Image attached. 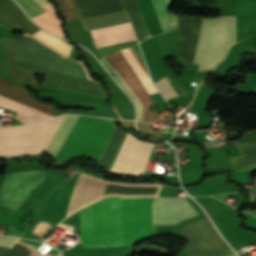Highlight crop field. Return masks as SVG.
Masks as SVG:
<instances>
[{
	"mask_svg": "<svg viewBox=\"0 0 256 256\" xmlns=\"http://www.w3.org/2000/svg\"><path fill=\"white\" fill-rule=\"evenodd\" d=\"M6 49L8 54V61H9L11 75L27 84L38 87V84L32 74H29L27 72H24L22 70L15 68L12 50H10L11 48L10 49L6 48Z\"/></svg>",
	"mask_w": 256,
	"mask_h": 256,
	"instance_id": "obj_17",
	"label": "crop field"
},
{
	"mask_svg": "<svg viewBox=\"0 0 256 256\" xmlns=\"http://www.w3.org/2000/svg\"><path fill=\"white\" fill-rule=\"evenodd\" d=\"M0 24L30 35L40 29L25 16L13 0H0Z\"/></svg>",
	"mask_w": 256,
	"mask_h": 256,
	"instance_id": "obj_12",
	"label": "crop field"
},
{
	"mask_svg": "<svg viewBox=\"0 0 256 256\" xmlns=\"http://www.w3.org/2000/svg\"><path fill=\"white\" fill-rule=\"evenodd\" d=\"M114 128L112 120L79 116L56 160L87 156L99 162Z\"/></svg>",
	"mask_w": 256,
	"mask_h": 256,
	"instance_id": "obj_2",
	"label": "crop field"
},
{
	"mask_svg": "<svg viewBox=\"0 0 256 256\" xmlns=\"http://www.w3.org/2000/svg\"><path fill=\"white\" fill-rule=\"evenodd\" d=\"M154 144L127 135L110 173L132 176L141 175Z\"/></svg>",
	"mask_w": 256,
	"mask_h": 256,
	"instance_id": "obj_8",
	"label": "crop field"
},
{
	"mask_svg": "<svg viewBox=\"0 0 256 256\" xmlns=\"http://www.w3.org/2000/svg\"><path fill=\"white\" fill-rule=\"evenodd\" d=\"M35 37L39 38L43 42L47 43L51 47L55 48L59 52L63 53L66 56H69L72 46L68 45L67 43L63 42L59 38L48 34L42 30L33 34Z\"/></svg>",
	"mask_w": 256,
	"mask_h": 256,
	"instance_id": "obj_16",
	"label": "crop field"
},
{
	"mask_svg": "<svg viewBox=\"0 0 256 256\" xmlns=\"http://www.w3.org/2000/svg\"><path fill=\"white\" fill-rule=\"evenodd\" d=\"M154 84L165 97V99L178 96V93L175 91L165 76L154 82Z\"/></svg>",
	"mask_w": 256,
	"mask_h": 256,
	"instance_id": "obj_20",
	"label": "crop field"
},
{
	"mask_svg": "<svg viewBox=\"0 0 256 256\" xmlns=\"http://www.w3.org/2000/svg\"><path fill=\"white\" fill-rule=\"evenodd\" d=\"M90 32L97 47L135 39L129 23L92 30ZM120 52L145 88L148 95L157 92V89L152 84L145 67L132 47L121 49Z\"/></svg>",
	"mask_w": 256,
	"mask_h": 256,
	"instance_id": "obj_6",
	"label": "crop field"
},
{
	"mask_svg": "<svg viewBox=\"0 0 256 256\" xmlns=\"http://www.w3.org/2000/svg\"><path fill=\"white\" fill-rule=\"evenodd\" d=\"M65 115L28 126L0 127V157L41 153Z\"/></svg>",
	"mask_w": 256,
	"mask_h": 256,
	"instance_id": "obj_3",
	"label": "crop field"
},
{
	"mask_svg": "<svg viewBox=\"0 0 256 256\" xmlns=\"http://www.w3.org/2000/svg\"><path fill=\"white\" fill-rule=\"evenodd\" d=\"M18 238H12L0 235V245L14 246L18 241ZM8 246H0V256H5V254L12 248Z\"/></svg>",
	"mask_w": 256,
	"mask_h": 256,
	"instance_id": "obj_21",
	"label": "crop field"
},
{
	"mask_svg": "<svg viewBox=\"0 0 256 256\" xmlns=\"http://www.w3.org/2000/svg\"><path fill=\"white\" fill-rule=\"evenodd\" d=\"M45 170L9 174L0 192V205L18 211L31 190L44 179Z\"/></svg>",
	"mask_w": 256,
	"mask_h": 256,
	"instance_id": "obj_9",
	"label": "crop field"
},
{
	"mask_svg": "<svg viewBox=\"0 0 256 256\" xmlns=\"http://www.w3.org/2000/svg\"><path fill=\"white\" fill-rule=\"evenodd\" d=\"M0 95L11 98L53 116H56L52 106L50 104H40L33 100L27 93L26 89L14 82L3 79L0 77ZM0 96V106L4 108H8L11 110L17 111L16 116L21 121L29 124H35L40 121L46 120L53 116L18 103L16 101L10 100Z\"/></svg>",
	"mask_w": 256,
	"mask_h": 256,
	"instance_id": "obj_5",
	"label": "crop field"
},
{
	"mask_svg": "<svg viewBox=\"0 0 256 256\" xmlns=\"http://www.w3.org/2000/svg\"><path fill=\"white\" fill-rule=\"evenodd\" d=\"M16 1L22 6V8L25 10L28 16L31 18L47 11L41 5L36 3L34 0H16Z\"/></svg>",
	"mask_w": 256,
	"mask_h": 256,
	"instance_id": "obj_19",
	"label": "crop field"
},
{
	"mask_svg": "<svg viewBox=\"0 0 256 256\" xmlns=\"http://www.w3.org/2000/svg\"><path fill=\"white\" fill-rule=\"evenodd\" d=\"M114 246L153 233V198L110 197ZM108 198L79 211L81 247L113 246Z\"/></svg>",
	"mask_w": 256,
	"mask_h": 256,
	"instance_id": "obj_1",
	"label": "crop field"
},
{
	"mask_svg": "<svg viewBox=\"0 0 256 256\" xmlns=\"http://www.w3.org/2000/svg\"><path fill=\"white\" fill-rule=\"evenodd\" d=\"M228 256H236V254H235V253H233V254H231V255H228Z\"/></svg>",
	"mask_w": 256,
	"mask_h": 256,
	"instance_id": "obj_24",
	"label": "crop field"
},
{
	"mask_svg": "<svg viewBox=\"0 0 256 256\" xmlns=\"http://www.w3.org/2000/svg\"><path fill=\"white\" fill-rule=\"evenodd\" d=\"M17 67L24 68L30 71H34L40 74L49 76L45 85L57 87L61 89L91 94L100 97H106L103 90L94 82L81 79L75 76L57 72L51 69L26 63L15 59Z\"/></svg>",
	"mask_w": 256,
	"mask_h": 256,
	"instance_id": "obj_10",
	"label": "crop field"
},
{
	"mask_svg": "<svg viewBox=\"0 0 256 256\" xmlns=\"http://www.w3.org/2000/svg\"><path fill=\"white\" fill-rule=\"evenodd\" d=\"M156 9L158 18L160 20L163 31H167L176 28L177 16L165 13L169 3L167 0H152Z\"/></svg>",
	"mask_w": 256,
	"mask_h": 256,
	"instance_id": "obj_15",
	"label": "crop field"
},
{
	"mask_svg": "<svg viewBox=\"0 0 256 256\" xmlns=\"http://www.w3.org/2000/svg\"><path fill=\"white\" fill-rule=\"evenodd\" d=\"M107 62H109L122 76V78L129 84L131 87L132 91L139 97L143 108H144V118H143V109L140 101L138 100L137 96L131 91L129 88L128 84L121 78V76L118 74V72ZM102 58L100 61L104 65L106 69L111 71L115 78L118 80V82L121 84V86L124 88V90L127 92V94L131 97V99L134 101V103L137 106V112L138 116L137 119L148 121L149 122V117H148V105H152L153 102L129 68L128 64L122 57L121 53L119 50L105 56Z\"/></svg>",
	"mask_w": 256,
	"mask_h": 256,
	"instance_id": "obj_7",
	"label": "crop field"
},
{
	"mask_svg": "<svg viewBox=\"0 0 256 256\" xmlns=\"http://www.w3.org/2000/svg\"><path fill=\"white\" fill-rule=\"evenodd\" d=\"M35 1L38 2L39 4H44L49 2V0H35Z\"/></svg>",
	"mask_w": 256,
	"mask_h": 256,
	"instance_id": "obj_23",
	"label": "crop field"
},
{
	"mask_svg": "<svg viewBox=\"0 0 256 256\" xmlns=\"http://www.w3.org/2000/svg\"><path fill=\"white\" fill-rule=\"evenodd\" d=\"M215 20L216 18H203L202 20L194 61L199 64L198 71L207 67ZM233 43H235V16L217 18L207 69L216 65Z\"/></svg>",
	"mask_w": 256,
	"mask_h": 256,
	"instance_id": "obj_4",
	"label": "crop field"
},
{
	"mask_svg": "<svg viewBox=\"0 0 256 256\" xmlns=\"http://www.w3.org/2000/svg\"><path fill=\"white\" fill-rule=\"evenodd\" d=\"M77 118L78 116L75 115H67L62 121L61 126L52 138L46 151L50 157L55 159L57 153L59 152L62 144L64 143Z\"/></svg>",
	"mask_w": 256,
	"mask_h": 256,
	"instance_id": "obj_13",
	"label": "crop field"
},
{
	"mask_svg": "<svg viewBox=\"0 0 256 256\" xmlns=\"http://www.w3.org/2000/svg\"><path fill=\"white\" fill-rule=\"evenodd\" d=\"M44 153V152H42ZM41 153V154H42ZM41 154H35V155H27V156H19V157H11V158H0V160H10V159H15V158H23V157H36V156H40Z\"/></svg>",
	"mask_w": 256,
	"mask_h": 256,
	"instance_id": "obj_22",
	"label": "crop field"
},
{
	"mask_svg": "<svg viewBox=\"0 0 256 256\" xmlns=\"http://www.w3.org/2000/svg\"><path fill=\"white\" fill-rule=\"evenodd\" d=\"M65 21L79 18L71 0H53Z\"/></svg>",
	"mask_w": 256,
	"mask_h": 256,
	"instance_id": "obj_18",
	"label": "crop field"
},
{
	"mask_svg": "<svg viewBox=\"0 0 256 256\" xmlns=\"http://www.w3.org/2000/svg\"><path fill=\"white\" fill-rule=\"evenodd\" d=\"M198 215L185 197L176 199L154 198V224H177Z\"/></svg>",
	"mask_w": 256,
	"mask_h": 256,
	"instance_id": "obj_11",
	"label": "crop field"
},
{
	"mask_svg": "<svg viewBox=\"0 0 256 256\" xmlns=\"http://www.w3.org/2000/svg\"><path fill=\"white\" fill-rule=\"evenodd\" d=\"M126 133L115 128L98 166L109 172Z\"/></svg>",
	"mask_w": 256,
	"mask_h": 256,
	"instance_id": "obj_14",
	"label": "crop field"
}]
</instances>
